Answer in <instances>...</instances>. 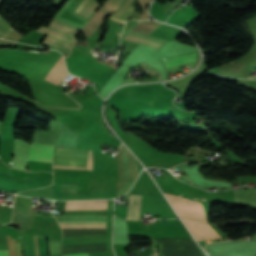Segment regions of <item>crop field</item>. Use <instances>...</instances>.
Segmentation results:
<instances>
[{
    "mask_svg": "<svg viewBox=\"0 0 256 256\" xmlns=\"http://www.w3.org/2000/svg\"><path fill=\"white\" fill-rule=\"evenodd\" d=\"M107 200L66 201L65 210L106 208ZM57 221L106 219V214L55 216ZM62 229L105 227L106 220L58 222ZM67 256H88L87 253Z\"/></svg>",
    "mask_w": 256,
    "mask_h": 256,
    "instance_id": "crop-field-1",
    "label": "crop field"
},
{
    "mask_svg": "<svg viewBox=\"0 0 256 256\" xmlns=\"http://www.w3.org/2000/svg\"><path fill=\"white\" fill-rule=\"evenodd\" d=\"M37 31L47 35L41 44L69 54L80 28L52 18L47 27L40 26Z\"/></svg>",
    "mask_w": 256,
    "mask_h": 256,
    "instance_id": "crop-field-2",
    "label": "crop field"
},
{
    "mask_svg": "<svg viewBox=\"0 0 256 256\" xmlns=\"http://www.w3.org/2000/svg\"><path fill=\"white\" fill-rule=\"evenodd\" d=\"M165 195L168 197L173 208L176 210L180 217L196 218L198 220L207 222L201 204L168 194Z\"/></svg>",
    "mask_w": 256,
    "mask_h": 256,
    "instance_id": "crop-field-4",
    "label": "crop field"
},
{
    "mask_svg": "<svg viewBox=\"0 0 256 256\" xmlns=\"http://www.w3.org/2000/svg\"><path fill=\"white\" fill-rule=\"evenodd\" d=\"M100 6L96 0H83L74 13L89 20Z\"/></svg>",
    "mask_w": 256,
    "mask_h": 256,
    "instance_id": "crop-field-9",
    "label": "crop field"
},
{
    "mask_svg": "<svg viewBox=\"0 0 256 256\" xmlns=\"http://www.w3.org/2000/svg\"><path fill=\"white\" fill-rule=\"evenodd\" d=\"M0 125H1V121H0Z\"/></svg>",
    "mask_w": 256,
    "mask_h": 256,
    "instance_id": "crop-field-20",
    "label": "crop field"
},
{
    "mask_svg": "<svg viewBox=\"0 0 256 256\" xmlns=\"http://www.w3.org/2000/svg\"><path fill=\"white\" fill-rule=\"evenodd\" d=\"M54 168H74V169H82L85 170L86 168H81V167H70V166H59V165H54ZM87 170H92V150L89 152V161H88V169Z\"/></svg>",
    "mask_w": 256,
    "mask_h": 256,
    "instance_id": "crop-field-16",
    "label": "crop field"
},
{
    "mask_svg": "<svg viewBox=\"0 0 256 256\" xmlns=\"http://www.w3.org/2000/svg\"><path fill=\"white\" fill-rule=\"evenodd\" d=\"M0 256H9L8 250L0 251Z\"/></svg>",
    "mask_w": 256,
    "mask_h": 256,
    "instance_id": "crop-field-18",
    "label": "crop field"
},
{
    "mask_svg": "<svg viewBox=\"0 0 256 256\" xmlns=\"http://www.w3.org/2000/svg\"><path fill=\"white\" fill-rule=\"evenodd\" d=\"M49 255H61L60 242L48 240Z\"/></svg>",
    "mask_w": 256,
    "mask_h": 256,
    "instance_id": "crop-field-15",
    "label": "crop field"
},
{
    "mask_svg": "<svg viewBox=\"0 0 256 256\" xmlns=\"http://www.w3.org/2000/svg\"><path fill=\"white\" fill-rule=\"evenodd\" d=\"M88 150L55 148L54 156L87 158ZM54 157L53 163L59 165L86 167L87 159Z\"/></svg>",
    "mask_w": 256,
    "mask_h": 256,
    "instance_id": "crop-field-5",
    "label": "crop field"
},
{
    "mask_svg": "<svg viewBox=\"0 0 256 256\" xmlns=\"http://www.w3.org/2000/svg\"><path fill=\"white\" fill-rule=\"evenodd\" d=\"M61 188H78V185L61 184ZM78 189H61V192H77Z\"/></svg>",
    "mask_w": 256,
    "mask_h": 256,
    "instance_id": "crop-field-17",
    "label": "crop field"
},
{
    "mask_svg": "<svg viewBox=\"0 0 256 256\" xmlns=\"http://www.w3.org/2000/svg\"><path fill=\"white\" fill-rule=\"evenodd\" d=\"M124 0H107L102 6L101 9L112 12L116 10Z\"/></svg>",
    "mask_w": 256,
    "mask_h": 256,
    "instance_id": "crop-field-13",
    "label": "crop field"
},
{
    "mask_svg": "<svg viewBox=\"0 0 256 256\" xmlns=\"http://www.w3.org/2000/svg\"><path fill=\"white\" fill-rule=\"evenodd\" d=\"M166 67H171L177 64L195 61V52L184 54L180 56H174L163 60Z\"/></svg>",
    "mask_w": 256,
    "mask_h": 256,
    "instance_id": "crop-field-12",
    "label": "crop field"
},
{
    "mask_svg": "<svg viewBox=\"0 0 256 256\" xmlns=\"http://www.w3.org/2000/svg\"><path fill=\"white\" fill-rule=\"evenodd\" d=\"M132 2L133 0H126L111 18L124 23L135 10L133 7H131Z\"/></svg>",
    "mask_w": 256,
    "mask_h": 256,
    "instance_id": "crop-field-11",
    "label": "crop field"
},
{
    "mask_svg": "<svg viewBox=\"0 0 256 256\" xmlns=\"http://www.w3.org/2000/svg\"><path fill=\"white\" fill-rule=\"evenodd\" d=\"M109 12L98 10L94 16L89 20V22L84 26L81 30L83 35L86 38H90L96 28L100 25V23L107 17Z\"/></svg>",
    "mask_w": 256,
    "mask_h": 256,
    "instance_id": "crop-field-8",
    "label": "crop field"
},
{
    "mask_svg": "<svg viewBox=\"0 0 256 256\" xmlns=\"http://www.w3.org/2000/svg\"><path fill=\"white\" fill-rule=\"evenodd\" d=\"M67 74H68V73H67ZM67 74H66V75H67ZM66 75H64L62 78L64 79V78L66 77Z\"/></svg>",
    "mask_w": 256,
    "mask_h": 256,
    "instance_id": "crop-field-19",
    "label": "crop field"
},
{
    "mask_svg": "<svg viewBox=\"0 0 256 256\" xmlns=\"http://www.w3.org/2000/svg\"><path fill=\"white\" fill-rule=\"evenodd\" d=\"M185 225L197 240H208V239H216L222 238L219 234H217L209 224L195 221L192 219H183Z\"/></svg>",
    "mask_w": 256,
    "mask_h": 256,
    "instance_id": "crop-field-6",
    "label": "crop field"
},
{
    "mask_svg": "<svg viewBox=\"0 0 256 256\" xmlns=\"http://www.w3.org/2000/svg\"><path fill=\"white\" fill-rule=\"evenodd\" d=\"M140 201H141V195H130L127 219L129 220L139 219Z\"/></svg>",
    "mask_w": 256,
    "mask_h": 256,
    "instance_id": "crop-field-10",
    "label": "crop field"
},
{
    "mask_svg": "<svg viewBox=\"0 0 256 256\" xmlns=\"http://www.w3.org/2000/svg\"><path fill=\"white\" fill-rule=\"evenodd\" d=\"M4 0H0V5ZM12 28L3 17L0 16V38H3L7 32ZM9 33V32H8Z\"/></svg>",
    "mask_w": 256,
    "mask_h": 256,
    "instance_id": "crop-field-14",
    "label": "crop field"
},
{
    "mask_svg": "<svg viewBox=\"0 0 256 256\" xmlns=\"http://www.w3.org/2000/svg\"><path fill=\"white\" fill-rule=\"evenodd\" d=\"M53 147L51 145L32 143L28 160L52 162Z\"/></svg>",
    "mask_w": 256,
    "mask_h": 256,
    "instance_id": "crop-field-7",
    "label": "crop field"
},
{
    "mask_svg": "<svg viewBox=\"0 0 256 256\" xmlns=\"http://www.w3.org/2000/svg\"><path fill=\"white\" fill-rule=\"evenodd\" d=\"M157 27L138 21L127 31L122 40L160 50L168 41L148 36Z\"/></svg>",
    "mask_w": 256,
    "mask_h": 256,
    "instance_id": "crop-field-3",
    "label": "crop field"
}]
</instances>
